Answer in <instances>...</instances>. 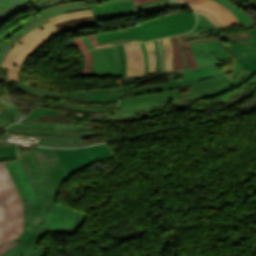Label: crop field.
Wrapping results in <instances>:
<instances>
[{"label": "crop field", "mask_w": 256, "mask_h": 256, "mask_svg": "<svg viewBox=\"0 0 256 256\" xmlns=\"http://www.w3.org/2000/svg\"><path fill=\"white\" fill-rule=\"evenodd\" d=\"M254 73L242 72L240 76L222 85L198 92H190L188 87L169 91L144 94L120 99L119 108L111 112H101L90 115L93 121H122V119L150 116V112L176 105V109H188L191 101L207 98L236 88L247 81Z\"/></svg>", "instance_id": "1"}, {"label": "crop field", "mask_w": 256, "mask_h": 256, "mask_svg": "<svg viewBox=\"0 0 256 256\" xmlns=\"http://www.w3.org/2000/svg\"><path fill=\"white\" fill-rule=\"evenodd\" d=\"M195 24L193 12H177L125 30L90 36V39L95 47L129 41L142 42L185 33L193 29Z\"/></svg>", "instance_id": "2"}, {"label": "crop field", "mask_w": 256, "mask_h": 256, "mask_svg": "<svg viewBox=\"0 0 256 256\" xmlns=\"http://www.w3.org/2000/svg\"><path fill=\"white\" fill-rule=\"evenodd\" d=\"M23 200L5 166L0 164V244L15 241L23 232Z\"/></svg>", "instance_id": "3"}, {"label": "crop field", "mask_w": 256, "mask_h": 256, "mask_svg": "<svg viewBox=\"0 0 256 256\" xmlns=\"http://www.w3.org/2000/svg\"><path fill=\"white\" fill-rule=\"evenodd\" d=\"M92 15L90 10L61 14L48 20L51 22L41 26L20 39L6 57L2 66L10 67L7 81H19L21 67L26 56L44 40L61 33L53 24L67 19Z\"/></svg>", "instance_id": "4"}, {"label": "crop field", "mask_w": 256, "mask_h": 256, "mask_svg": "<svg viewBox=\"0 0 256 256\" xmlns=\"http://www.w3.org/2000/svg\"><path fill=\"white\" fill-rule=\"evenodd\" d=\"M55 150L68 176L99 160L105 161L115 157H113V153L111 154L106 144L86 148Z\"/></svg>", "instance_id": "5"}, {"label": "crop field", "mask_w": 256, "mask_h": 256, "mask_svg": "<svg viewBox=\"0 0 256 256\" xmlns=\"http://www.w3.org/2000/svg\"><path fill=\"white\" fill-rule=\"evenodd\" d=\"M86 215V213L58 205L52 201L51 215L34 244L38 243L46 231L76 234L84 223Z\"/></svg>", "instance_id": "6"}, {"label": "crop field", "mask_w": 256, "mask_h": 256, "mask_svg": "<svg viewBox=\"0 0 256 256\" xmlns=\"http://www.w3.org/2000/svg\"><path fill=\"white\" fill-rule=\"evenodd\" d=\"M9 133L41 136L40 146L77 147L81 146L79 137L92 135L93 131H47L23 128H6Z\"/></svg>", "instance_id": "7"}, {"label": "crop field", "mask_w": 256, "mask_h": 256, "mask_svg": "<svg viewBox=\"0 0 256 256\" xmlns=\"http://www.w3.org/2000/svg\"><path fill=\"white\" fill-rule=\"evenodd\" d=\"M31 7L49 18L61 13L90 9L89 6L127 0H28Z\"/></svg>", "instance_id": "8"}, {"label": "crop field", "mask_w": 256, "mask_h": 256, "mask_svg": "<svg viewBox=\"0 0 256 256\" xmlns=\"http://www.w3.org/2000/svg\"><path fill=\"white\" fill-rule=\"evenodd\" d=\"M34 151L45 174L52 194L54 198H56L63 181L68 177L54 149L37 148Z\"/></svg>", "instance_id": "9"}, {"label": "crop field", "mask_w": 256, "mask_h": 256, "mask_svg": "<svg viewBox=\"0 0 256 256\" xmlns=\"http://www.w3.org/2000/svg\"><path fill=\"white\" fill-rule=\"evenodd\" d=\"M26 174L39 200H54L34 151L18 150Z\"/></svg>", "instance_id": "10"}, {"label": "crop field", "mask_w": 256, "mask_h": 256, "mask_svg": "<svg viewBox=\"0 0 256 256\" xmlns=\"http://www.w3.org/2000/svg\"><path fill=\"white\" fill-rule=\"evenodd\" d=\"M217 42L228 49L243 66V70L256 72V36L217 40Z\"/></svg>", "instance_id": "11"}, {"label": "crop field", "mask_w": 256, "mask_h": 256, "mask_svg": "<svg viewBox=\"0 0 256 256\" xmlns=\"http://www.w3.org/2000/svg\"><path fill=\"white\" fill-rule=\"evenodd\" d=\"M228 80L229 78H227L222 72H220L214 75L195 78V79H189L185 81L139 86L128 91L126 94H132L140 91H147V90L165 88V87H170L174 89V88L184 87V86H189L191 91H198V90H203V89H207V88L222 84Z\"/></svg>", "instance_id": "12"}, {"label": "crop field", "mask_w": 256, "mask_h": 256, "mask_svg": "<svg viewBox=\"0 0 256 256\" xmlns=\"http://www.w3.org/2000/svg\"><path fill=\"white\" fill-rule=\"evenodd\" d=\"M49 23V21L41 15L30 17L17 25L12 30L0 36V69L1 64L12 49L13 44L22 38L25 34L34 28Z\"/></svg>", "instance_id": "13"}, {"label": "crop field", "mask_w": 256, "mask_h": 256, "mask_svg": "<svg viewBox=\"0 0 256 256\" xmlns=\"http://www.w3.org/2000/svg\"><path fill=\"white\" fill-rule=\"evenodd\" d=\"M51 211V201H45V211L42 217L41 224H36L31 234L24 243H19L7 250L0 256H45L46 252L40 245H32L38 234L44 227ZM48 222V221H47Z\"/></svg>", "instance_id": "14"}, {"label": "crop field", "mask_w": 256, "mask_h": 256, "mask_svg": "<svg viewBox=\"0 0 256 256\" xmlns=\"http://www.w3.org/2000/svg\"><path fill=\"white\" fill-rule=\"evenodd\" d=\"M23 200H38L20 161L5 163Z\"/></svg>", "instance_id": "15"}, {"label": "crop field", "mask_w": 256, "mask_h": 256, "mask_svg": "<svg viewBox=\"0 0 256 256\" xmlns=\"http://www.w3.org/2000/svg\"><path fill=\"white\" fill-rule=\"evenodd\" d=\"M127 55V74L125 78L144 75V59L139 43L123 44Z\"/></svg>", "instance_id": "16"}, {"label": "crop field", "mask_w": 256, "mask_h": 256, "mask_svg": "<svg viewBox=\"0 0 256 256\" xmlns=\"http://www.w3.org/2000/svg\"><path fill=\"white\" fill-rule=\"evenodd\" d=\"M43 210L44 201H24L25 228L23 234L16 241L24 242L35 223H40Z\"/></svg>", "instance_id": "17"}, {"label": "crop field", "mask_w": 256, "mask_h": 256, "mask_svg": "<svg viewBox=\"0 0 256 256\" xmlns=\"http://www.w3.org/2000/svg\"><path fill=\"white\" fill-rule=\"evenodd\" d=\"M18 88L22 89L23 91L33 93L36 95L40 96H46L47 98L51 99H59L61 93L60 92H54V91H48V90H42L34 87H29L23 83L17 84ZM61 104L75 108V109H80V110H86V111H93V112H98V111H104L107 109H110L114 107L116 104H110V105H102V106H91V105H80V104H71L67 102L60 101Z\"/></svg>", "instance_id": "18"}, {"label": "crop field", "mask_w": 256, "mask_h": 256, "mask_svg": "<svg viewBox=\"0 0 256 256\" xmlns=\"http://www.w3.org/2000/svg\"><path fill=\"white\" fill-rule=\"evenodd\" d=\"M192 4L193 7L203 8L214 13L224 25L235 24L238 21L235 19L233 14L229 12L221 4L212 0H185Z\"/></svg>", "instance_id": "19"}, {"label": "crop field", "mask_w": 256, "mask_h": 256, "mask_svg": "<svg viewBox=\"0 0 256 256\" xmlns=\"http://www.w3.org/2000/svg\"><path fill=\"white\" fill-rule=\"evenodd\" d=\"M9 127H23V128H35V129H48V130H90L92 127L65 124V123H53V122H28L12 124Z\"/></svg>", "instance_id": "20"}, {"label": "crop field", "mask_w": 256, "mask_h": 256, "mask_svg": "<svg viewBox=\"0 0 256 256\" xmlns=\"http://www.w3.org/2000/svg\"><path fill=\"white\" fill-rule=\"evenodd\" d=\"M27 8H30L27 0H0V23Z\"/></svg>", "instance_id": "21"}, {"label": "crop field", "mask_w": 256, "mask_h": 256, "mask_svg": "<svg viewBox=\"0 0 256 256\" xmlns=\"http://www.w3.org/2000/svg\"><path fill=\"white\" fill-rule=\"evenodd\" d=\"M98 25L93 16L67 20L61 23L55 24L63 33L71 30L91 27Z\"/></svg>", "instance_id": "22"}, {"label": "crop field", "mask_w": 256, "mask_h": 256, "mask_svg": "<svg viewBox=\"0 0 256 256\" xmlns=\"http://www.w3.org/2000/svg\"><path fill=\"white\" fill-rule=\"evenodd\" d=\"M239 25H244L243 24H235V25H228V26H223V27H218V28H212V29H207V30H202V31H197V32H191L184 34L187 41H196V40H202V39H208V38H214V37H220V36H227V33H221L220 30L228 27H233V26H239ZM231 35V34H229ZM191 43V42H190Z\"/></svg>", "instance_id": "23"}, {"label": "crop field", "mask_w": 256, "mask_h": 256, "mask_svg": "<svg viewBox=\"0 0 256 256\" xmlns=\"http://www.w3.org/2000/svg\"><path fill=\"white\" fill-rule=\"evenodd\" d=\"M125 92V91H123ZM120 93H112V94H105V95H99V96H69V95H63L62 98L76 101V102H82V103H103V102H112V101H118Z\"/></svg>", "instance_id": "24"}, {"label": "crop field", "mask_w": 256, "mask_h": 256, "mask_svg": "<svg viewBox=\"0 0 256 256\" xmlns=\"http://www.w3.org/2000/svg\"><path fill=\"white\" fill-rule=\"evenodd\" d=\"M190 49L198 66L217 63L215 58L211 55L206 43L191 45Z\"/></svg>", "instance_id": "25"}, {"label": "crop field", "mask_w": 256, "mask_h": 256, "mask_svg": "<svg viewBox=\"0 0 256 256\" xmlns=\"http://www.w3.org/2000/svg\"><path fill=\"white\" fill-rule=\"evenodd\" d=\"M168 1H173V0H162V1H158V2L137 5V6H134L132 1H128V2L110 3V4H105V5H96V6H92L90 8L93 13H96V12L118 10V9L130 8V7L136 8V7H140V6L160 4V3H164V2H168Z\"/></svg>", "instance_id": "26"}, {"label": "crop field", "mask_w": 256, "mask_h": 256, "mask_svg": "<svg viewBox=\"0 0 256 256\" xmlns=\"http://www.w3.org/2000/svg\"><path fill=\"white\" fill-rule=\"evenodd\" d=\"M178 72H180V74H183V80H185V79H189V78L214 74V73H217L220 71L217 68H215L214 66L208 65V66H202V67H196V68L175 71V72H172L171 74L178 73ZM175 75H179V74H175ZM171 76H174V75H171ZM168 77H170V76H168Z\"/></svg>", "instance_id": "27"}, {"label": "crop field", "mask_w": 256, "mask_h": 256, "mask_svg": "<svg viewBox=\"0 0 256 256\" xmlns=\"http://www.w3.org/2000/svg\"><path fill=\"white\" fill-rule=\"evenodd\" d=\"M244 36H248V34L246 33V34H240V35H232V36H227V37H220V38H214V39L191 42V43H188V44H187L185 38L183 37V35H180L179 37H180V40H181V43H182V46H183V50L186 54L188 68H190V67H194V66H197V65L195 63L194 57H193L188 45L208 42V41L217 40V39H229V38L244 37Z\"/></svg>", "instance_id": "28"}, {"label": "crop field", "mask_w": 256, "mask_h": 256, "mask_svg": "<svg viewBox=\"0 0 256 256\" xmlns=\"http://www.w3.org/2000/svg\"><path fill=\"white\" fill-rule=\"evenodd\" d=\"M222 5H224L228 10H230L234 16L237 18L239 23L246 22V28L250 27L253 25V22L251 20V16L247 15L244 13L239 7L236 5L232 4L231 2L227 0H215Z\"/></svg>", "instance_id": "29"}, {"label": "crop field", "mask_w": 256, "mask_h": 256, "mask_svg": "<svg viewBox=\"0 0 256 256\" xmlns=\"http://www.w3.org/2000/svg\"><path fill=\"white\" fill-rule=\"evenodd\" d=\"M213 49L216 50V52L218 53L221 62L225 61L229 58L232 59V61L235 64V72L233 73V75L231 76L232 79H235L238 74L241 72L242 66L237 62V60L225 49L223 48L220 44H218L216 41L210 42Z\"/></svg>", "instance_id": "30"}, {"label": "crop field", "mask_w": 256, "mask_h": 256, "mask_svg": "<svg viewBox=\"0 0 256 256\" xmlns=\"http://www.w3.org/2000/svg\"><path fill=\"white\" fill-rule=\"evenodd\" d=\"M140 84V83H138ZM138 84H131V85H125V86H119V87H113V88H107V89H98V90H88V91H77V92H68L64 91V94H70V95H98V94H105V93H111V92H120L123 90H128Z\"/></svg>", "instance_id": "31"}, {"label": "crop field", "mask_w": 256, "mask_h": 256, "mask_svg": "<svg viewBox=\"0 0 256 256\" xmlns=\"http://www.w3.org/2000/svg\"><path fill=\"white\" fill-rule=\"evenodd\" d=\"M104 59V68L102 76L113 75L114 73V58L111 47L99 48Z\"/></svg>", "instance_id": "32"}, {"label": "crop field", "mask_w": 256, "mask_h": 256, "mask_svg": "<svg viewBox=\"0 0 256 256\" xmlns=\"http://www.w3.org/2000/svg\"><path fill=\"white\" fill-rule=\"evenodd\" d=\"M0 102L6 111L14 118L16 121L22 120L25 116L18 110V108L11 102V100L7 97V95L0 96Z\"/></svg>", "instance_id": "33"}, {"label": "crop field", "mask_w": 256, "mask_h": 256, "mask_svg": "<svg viewBox=\"0 0 256 256\" xmlns=\"http://www.w3.org/2000/svg\"><path fill=\"white\" fill-rule=\"evenodd\" d=\"M133 14H136V12L133 10V8H130V9H124V10H118V11L96 13L94 14V16L96 20H99V19H109V18L128 16Z\"/></svg>", "instance_id": "34"}, {"label": "crop field", "mask_w": 256, "mask_h": 256, "mask_svg": "<svg viewBox=\"0 0 256 256\" xmlns=\"http://www.w3.org/2000/svg\"><path fill=\"white\" fill-rule=\"evenodd\" d=\"M170 39L173 47V70L182 69L184 68V66H183V61H182L177 37L176 36L171 37Z\"/></svg>", "instance_id": "35"}, {"label": "crop field", "mask_w": 256, "mask_h": 256, "mask_svg": "<svg viewBox=\"0 0 256 256\" xmlns=\"http://www.w3.org/2000/svg\"><path fill=\"white\" fill-rule=\"evenodd\" d=\"M61 112L62 111H60L58 109L43 108V107L35 106V110L28 116L27 119H25L23 121H29V120L38 118L42 115H55V114H59Z\"/></svg>", "instance_id": "36"}, {"label": "crop field", "mask_w": 256, "mask_h": 256, "mask_svg": "<svg viewBox=\"0 0 256 256\" xmlns=\"http://www.w3.org/2000/svg\"><path fill=\"white\" fill-rule=\"evenodd\" d=\"M16 155V145H2L0 146V160L14 159Z\"/></svg>", "instance_id": "37"}, {"label": "crop field", "mask_w": 256, "mask_h": 256, "mask_svg": "<svg viewBox=\"0 0 256 256\" xmlns=\"http://www.w3.org/2000/svg\"><path fill=\"white\" fill-rule=\"evenodd\" d=\"M165 46V62H166V72L172 70V47L169 38L163 39Z\"/></svg>", "instance_id": "38"}, {"label": "crop field", "mask_w": 256, "mask_h": 256, "mask_svg": "<svg viewBox=\"0 0 256 256\" xmlns=\"http://www.w3.org/2000/svg\"><path fill=\"white\" fill-rule=\"evenodd\" d=\"M117 53L119 56V76H125L126 73V56L124 52V48L121 45H117Z\"/></svg>", "instance_id": "39"}, {"label": "crop field", "mask_w": 256, "mask_h": 256, "mask_svg": "<svg viewBox=\"0 0 256 256\" xmlns=\"http://www.w3.org/2000/svg\"><path fill=\"white\" fill-rule=\"evenodd\" d=\"M148 49L149 55V72L150 74L155 73V51L154 44L152 41L145 43Z\"/></svg>", "instance_id": "40"}, {"label": "crop field", "mask_w": 256, "mask_h": 256, "mask_svg": "<svg viewBox=\"0 0 256 256\" xmlns=\"http://www.w3.org/2000/svg\"><path fill=\"white\" fill-rule=\"evenodd\" d=\"M193 9H194L195 13H199V14L203 15L204 17H206L214 25V27L222 26L221 21L215 15H213L211 12H208L203 9H198V8H193Z\"/></svg>", "instance_id": "41"}, {"label": "crop field", "mask_w": 256, "mask_h": 256, "mask_svg": "<svg viewBox=\"0 0 256 256\" xmlns=\"http://www.w3.org/2000/svg\"><path fill=\"white\" fill-rule=\"evenodd\" d=\"M184 6H190V5L187 4V3L165 4V5H159V6H154V7H149V8L137 10L136 12H140V11L148 12V11H151V10H154V9L165 10V9H169V8L184 7Z\"/></svg>", "instance_id": "42"}, {"label": "crop field", "mask_w": 256, "mask_h": 256, "mask_svg": "<svg viewBox=\"0 0 256 256\" xmlns=\"http://www.w3.org/2000/svg\"><path fill=\"white\" fill-rule=\"evenodd\" d=\"M83 54L85 57V67H84V70L79 75L88 76L92 68L93 60L89 51L84 52Z\"/></svg>", "instance_id": "43"}, {"label": "crop field", "mask_w": 256, "mask_h": 256, "mask_svg": "<svg viewBox=\"0 0 256 256\" xmlns=\"http://www.w3.org/2000/svg\"><path fill=\"white\" fill-rule=\"evenodd\" d=\"M154 43L156 51V73H159L161 70L160 48L157 40H155Z\"/></svg>", "instance_id": "44"}, {"label": "crop field", "mask_w": 256, "mask_h": 256, "mask_svg": "<svg viewBox=\"0 0 256 256\" xmlns=\"http://www.w3.org/2000/svg\"><path fill=\"white\" fill-rule=\"evenodd\" d=\"M90 51H91V53L93 55L94 63H93L92 71H91L89 76H93V75H95L99 64H98V57H97V53L95 52V49H92Z\"/></svg>", "instance_id": "45"}, {"label": "crop field", "mask_w": 256, "mask_h": 256, "mask_svg": "<svg viewBox=\"0 0 256 256\" xmlns=\"http://www.w3.org/2000/svg\"><path fill=\"white\" fill-rule=\"evenodd\" d=\"M198 17V22L203 26L204 29L212 28L213 25L204 17L196 14Z\"/></svg>", "instance_id": "46"}, {"label": "crop field", "mask_w": 256, "mask_h": 256, "mask_svg": "<svg viewBox=\"0 0 256 256\" xmlns=\"http://www.w3.org/2000/svg\"><path fill=\"white\" fill-rule=\"evenodd\" d=\"M72 41L74 42V44L77 46V48H78L80 51L87 50V47H86V45L84 44L82 38H76V39H73Z\"/></svg>", "instance_id": "47"}, {"label": "crop field", "mask_w": 256, "mask_h": 256, "mask_svg": "<svg viewBox=\"0 0 256 256\" xmlns=\"http://www.w3.org/2000/svg\"><path fill=\"white\" fill-rule=\"evenodd\" d=\"M142 50H143V54H144V58H145V75L149 74L148 73V55H147V50H146V46L144 43H140Z\"/></svg>", "instance_id": "48"}, {"label": "crop field", "mask_w": 256, "mask_h": 256, "mask_svg": "<svg viewBox=\"0 0 256 256\" xmlns=\"http://www.w3.org/2000/svg\"><path fill=\"white\" fill-rule=\"evenodd\" d=\"M96 51H97V53H98L99 63H100V66H99V68H98L96 77H100V76H101V72H102V67H103V60H102V56H101L100 51H99L98 48L96 49Z\"/></svg>", "instance_id": "49"}, {"label": "crop field", "mask_w": 256, "mask_h": 256, "mask_svg": "<svg viewBox=\"0 0 256 256\" xmlns=\"http://www.w3.org/2000/svg\"><path fill=\"white\" fill-rule=\"evenodd\" d=\"M111 47H112V50H113V53H114V58H115V73H114V76H118V56H117V53H116L115 46H111Z\"/></svg>", "instance_id": "50"}, {"label": "crop field", "mask_w": 256, "mask_h": 256, "mask_svg": "<svg viewBox=\"0 0 256 256\" xmlns=\"http://www.w3.org/2000/svg\"><path fill=\"white\" fill-rule=\"evenodd\" d=\"M17 243L18 242L0 245V254L3 253L4 251H6L7 249L11 248L12 246H14Z\"/></svg>", "instance_id": "51"}, {"label": "crop field", "mask_w": 256, "mask_h": 256, "mask_svg": "<svg viewBox=\"0 0 256 256\" xmlns=\"http://www.w3.org/2000/svg\"><path fill=\"white\" fill-rule=\"evenodd\" d=\"M163 90H169V88L152 90V91H147V92H140V93H136V94H132V95H138V94H144V93H150V92H157V91H163ZM132 95H125V96H121L120 98L126 97V96H132Z\"/></svg>", "instance_id": "52"}, {"label": "crop field", "mask_w": 256, "mask_h": 256, "mask_svg": "<svg viewBox=\"0 0 256 256\" xmlns=\"http://www.w3.org/2000/svg\"><path fill=\"white\" fill-rule=\"evenodd\" d=\"M83 40H84V42L86 43L88 49L94 48V46L92 45V43H91L89 37H83Z\"/></svg>", "instance_id": "53"}, {"label": "crop field", "mask_w": 256, "mask_h": 256, "mask_svg": "<svg viewBox=\"0 0 256 256\" xmlns=\"http://www.w3.org/2000/svg\"><path fill=\"white\" fill-rule=\"evenodd\" d=\"M250 7L256 9V4L251 5ZM248 34H249L250 36H255V35H256V28H253V29L248 30Z\"/></svg>", "instance_id": "54"}, {"label": "crop field", "mask_w": 256, "mask_h": 256, "mask_svg": "<svg viewBox=\"0 0 256 256\" xmlns=\"http://www.w3.org/2000/svg\"><path fill=\"white\" fill-rule=\"evenodd\" d=\"M153 1H157V0H133L134 4H143V3H148V2H153Z\"/></svg>", "instance_id": "55"}, {"label": "crop field", "mask_w": 256, "mask_h": 256, "mask_svg": "<svg viewBox=\"0 0 256 256\" xmlns=\"http://www.w3.org/2000/svg\"><path fill=\"white\" fill-rule=\"evenodd\" d=\"M160 45H161V50H162V55H163V70L162 72H165V63H164V46H163V42L162 40L160 39Z\"/></svg>", "instance_id": "56"}, {"label": "crop field", "mask_w": 256, "mask_h": 256, "mask_svg": "<svg viewBox=\"0 0 256 256\" xmlns=\"http://www.w3.org/2000/svg\"><path fill=\"white\" fill-rule=\"evenodd\" d=\"M35 105H39V106H43V107L58 108V107H55V106L50 105V104H44V103H38V102H36Z\"/></svg>", "instance_id": "57"}, {"label": "crop field", "mask_w": 256, "mask_h": 256, "mask_svg": "<svg viewBox=\"0 0 256 256\" xmlns=\"http://www.w3.org/2000/svg\"><path fill=\"white\" fill-rule=\"evenodd\" d=\"M178 40H179V37H178ZM179 44H180V49H181L182 57H183V60H184V65H185V68H187V66H186V59H185V55H184L183 50H182V46H181L180 40H179Z\"/></svg>", "instance_id": "58"}, {"label": "crop field", "mask_w": 256, "mask_h": 256, "mask_svg": "<svg viewBox=\"0 0 256 256\" xmlns=\"http://www.w3.org/2000/svg\"><path fill=\"white\" fill-rule=\"evenodd\" d=\"M6 125H8L7 123H6V121L2 118V116L0 115V127H4V126H6Z\"/></svg>", "instance_id": "59"}, {"label": "crop field", "mask_w": 256, "mask_h": 256, "mask_svg": "<svg viewBox=\"0 0 256 256\" xmlns=\"http://www.w3.org/2000/svg\"><path fill=\"white\" fill-rule=\"evenodd\" d=\"M202 26L198 23V25L192 30V31H196V30H202Z\"/></svg>", "instance_id": "60"}, {"label": "crop field", "mask_w": 256, "mask_h": 256, "mask_svg": "<svg viewBox=\"0 0 256 256\" xmlns=\"http://www.w3.org/2000/svg\"><path fill=\"white\" fill-rule=\"evenodd\" d=\"M227 62H232V61H231V59H229V60H227V61H225V62H223V63L214 64V65H221V64H224V63H227Z\"/></svg>", "instance_id": "61"}, {"label": "crop field", "mask_w": 256, "mask_h": 256, "mask_svg": "<svg viewBox=\"0 0 256 256\" xmlns=\"http://www.w3.org/2000/svg\"><path fill=\"white\" fill-rule=\"evenodd\" d=\"M178 2V1H177ZM169 3H172V2H169ZM165 4V3H164ZM141 8H145V7H140V8H136L135 10H137V9H141Z\"/></svg>", "instance_id": "62"}]
</instances>
